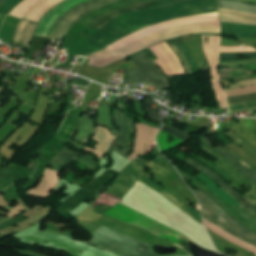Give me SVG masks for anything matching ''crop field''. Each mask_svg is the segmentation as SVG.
I'll use <instances>...</instances> for the list:
<instances>
[{
  "mask_svg": "<svg viewBox=\"0 0 256 256\" xmlns=\"http://www.w3.org/2000/svg\"><path fill=\"white\" fill-rule=\"evenodd\" d=\"M250 89H256V86L255 87H248V88H242V89H237V90L229 91V92H227V94L234 93V92H239V91H244V90H250Z\"/></svg>",
  "mask_w": 256,
  "mask_h": 256,
  "instance_id": "crop-field-47",
  "label": "crop field"
},
{
  "mask_svg": "<svg viewBox=\"0 0 256 256\" xmlns=\"http://www.w3.org/2000/svg\"><path fill=\"white\" fill-rule=\"evenodd\" d=\"M159 59L155 61L164 74L168 77L176 74H186L177 56L166 42L150 47Z\"/></svg>",
  "mask_w": 256,
  "mask_h": 256,
  "instance_id": "crop-field-12",
  "label": "crop field"
},
{
  "mask_svg": "<svg viewBox=\"0 0 256 256\" xmlns=\"http://www.w3.org/2000/svg\"><path fill=\"white\" fill-rule=\"evenodd\" d=\"M234 125L256 141V124L252 119L239 118V124Z\"/></svg>",
  "mask_w": 256,
  "mask_h": 256,
  "instance_id": "crop-field-30",
  "label": "crop field"
},
{
  "mask_svg": "<svg viewBox=\"0 0 256 256\" xmlns=\"http://www.w3.org/2000/svg\"><path fill=\"white\" fill-rule=\"evenodd\" d=\"M240 68L256 71V65L242 66V67H240Z\"/></svg>",
  "mask_w": 256,
  "mask_h": 256,
  "instance_id": "crop-field-49",
  "label": "crop field"
},
{
  "mask_svg": "<svg viewBox=\"0 0 256 256\" xmlns=\"http://www.w3.org/2000/svg\"><path fill=\"white\" fill-rule=\"evenodd\" d=\"M205 150V152L213 155L216 157L219 161L213 163V162H206L201 157H197L194 154H191L196 159L200 160L201 162L208 165L210 168H212L214 171H216L218 174H220L222 177H224L229 183L233 182L234 184L231 185L236 189H240L239 187L251 184L252 189H250L252 192L244 196L247 200H249L254 206H256V186L246 177L244 176L237 168H235L231 163H229L226 159H224L219 154L213 152L212 150L208 149L204 145L201 147Z\"/></svg>",
  "mask_w": 256,
  "mask_h": 256,
  "instance_id": "crop-field-9",
  "label": "crop field"
},
{
  "mask_svg": "<svg viewBox=\"0 0 256 256\" xmlns=\"http://www.w3.org/2000/svg\"><path fill=\"white\" fill-rule=\"evenodd\" d=\"M197 139H199L208 147L212 148L211 142L205 136L199 137ZM212 149L223 155L229 162H231L235 167H237L256 185V172L252 170L247 164H245L241 159H239L235 154H233L229 149H227L224 146Z\"/></svg>",
  "mask_w": 256,
  "mask_h": 256,
  "instance_id": "crop-field-16",
  "label": "crop field"
},
{
  "mask_svg": "<svg viewBox=\"0 0 256 256\" xmlns=\"http://www.w3.org/2000/svg\"><path fill=\"white\" fill-rule=\"evenodd\" d=\"M154 103V100L146 98L145 110L149 113V118L155 122L162 123L161 119V110L151 108Z\"/></svg>",
  "mask_w": 256,
  "mask_h": 256,
  "instance_id": "crop-field-32",
  "label": "crop field"
},
{
  "mask_svg": "<svg viewBox=\"0 0 256 256\" xmlns=\"http://www.w3.org/2000/svg\"><path fill=\"white\" fill-rule=\"evenodd\" d=\"M221 12L238 14V15H243V16H249V17L256 18V15H254V14L221 9L220 10V20L223 21V22H229V23H240V24L256 25V19L247 18V17H243V16H238V15H232V14H225V13H221Z\"/></svg>",
  "mask_w": 256,
  "mask_h": 256,
  "instance_id": "crop-field-21",
  "label": "crop field"
},
{
  "mask_svg": "<svg viewBox=\"0 0 256 256\" xmlns=\"http://www.w3.org/2000/svg\"><path fill=\"white\" fill-rule=\"evenodd\" d=\"M106 215L120 221L144 227L156 235L178 244L182 234L118 203Z\"/></svg>",
  "mask_w": 256,
  "mask_h": 256,
  "instance_id": "crop-field-7",
  "label": "crop field"
},
{
  "mask_svg": "<svg viewBox=\"0 0 256 256\" xmlns=\"http://www.w3.org/2000/svg\"><path fill=\"white\" fill-rule=\"evenodd\" d=\"M186 163L192 165L193 167L199 169L200 171L215 179L223 189H225L232 196H234L238 201H240L244 205L246 209H248L253 215L256 216V207H254L250 202H248L240 193L236 192L233 188H231L220 176H218L212 170L191 158Z\"/></svg>",
  "mask_w": 256,
  "mask_h": 256,
  "instance_id": "crop-field-15",
  "label": "crop field"
},
{
  "mask_svg": "<svg viewBox=\"0 0 256 256\" xmlns=\"http://www.w3.org/2000/svg\"><path fill=\"white\" fill-rule=\"evenodd\" d=\"M93 131L94 122L89 120V116H82L80 129L73 139L83 144L84 141L92 135Z\"/></svg>",
  "mask_w": 256,
  "mask_h": 256,
  "instance_id": "crop-field-23",
  "label": "crop field"
},
{
  "mask_svg": "<svg viewBox=\"0 0 256 256\" xmlns=\"http://www.w3.org/2000/svg\"><path fill=\"white\" fill-rule=\"evenodd\" d=\"M80 110L81 107L71 110L70 119L64 121L61 131L42 149L40 153V163L36 169L34 177L40 178L50 160L54 158L57 153L63 150L66 143L70 141L78 128ZM53 149L56 151L52 152ZM44 157L48 159L43 160Z\"/></svg>",
  "mask_w": 256,
  "mask_h": 256,
  "instance_id": "crop-field-8",
  "label": "crop field"
},
{
  "mask_svg": "<svg viewBox=\"0 0 256 256\" xmlns=\"http://www.w3.org/2000/svg\"><path fill=\"white\" fill-rule=\"evenodd\" d=\"M129 79L134 87L148 82L139 70H129Z\"/></svg>",
  "mask_w": 256,
  "mask_h": 256,
  "instance_id": "crop-field-33",
  "label": "crop field"
},
{
  "mask_svg": "<svg viewBox=\"0 0 256 256\" xmlns=\"http://www.w3.org/2000/svg\"><path fill=\"white\" fill-rule=\"evenodd\" d=\"M254 96H256V93L248 94V95H244V96H238V97H231V98H228V101H229V104L254 101V100H256V97H254ZM251 97H254V98H251Z\"/></svg>",
  "mask_w": 256,
  "mask_h": 256,
  "instance_id": "crop-field-38",
  "label": "crop field"
},
{
  "mask_svg": "<svg viewBox=\"0 0 256 256\" xmlns=\"http://www.w3.org/2000/svg\"><path fill=\"white\" fill-rule=\"evenodd\" d=\"M204 222H205L206 227L208 229L214 231L215 233H217L221 237H223V238H225V239H227V240H229V241H231V242H233V243H235V244H237V245H239V246H241V247H243V248L253 252L256 255V248L255 247H253V246H251V245H249V244H247V243H245V242H243V241H241V240L231 236L230 234L224 232L222 229H220L217 226H215L214 224L206 221L205 219H204Z\"/></svg>",
  "mask_w": 256,
  "mask_h": 256,
  "instance_id": "crop-field-22",
  "label": "crop field"
},
{
  "mask_svg": "<svg viewBox=\"0 0 256 256\" xmlns=\"http://www.w3.org/2000/svg\"><path fill=\"white\" fill-rule=\"evenodd\" d=\"M162 130H163V131H166V132H168V133H170V134H172V135H174V136H176V137H178V138H181V139H183V140H185V141H187L188 138L190 137V135L187 134V133L178 131V130H176V129H173V128L168 127V126H165V125L163 126Z\"/></svg>",
  "mask_w": 256,
  "mask_h": 256,
  "instance_id": "crop-field-39",
  "label": "crop field"
},
{
  "mask_svg": "<svg viewBox=\"0 0 256 256\" xmlns=\"http://www.w3.org/2000/svg\"><path fill=\"white\" fill-rule=\"evenodd\" d=\"M114 113L117 117V124L121 126V131L117 132V140L113 147L110 149L109 153L117 152L125 158H128V151L133 150L132 148L126 147L128 131H135V122L133 119L129 118L128 115L122 113L121 111L115 109ZM117 145L124 147L121 151Z\"/></svg>",
  "mask_w": 256,
  "mask_h": 256,
  "instance_id": "crop-field-14",
  "label": "crop field"
},
{
  "mask_svg": "<svg viewBox=\"0 0 256 256\" xmlns=\"http://www.w3.org/2000/svg\"><path fill=\"white\" fill-rule=\"evenodd\" d=\"M205 37H208L207 44ZM202 39L203 52L211 68L213 89L216 93L217 100L220 101L221 108L228 107L225 91L220 84V75L217 72V67H219V52H245L256 50L252 47H247L245 49L244 46L220 47L221 37L219 36H202Z\"/></svg>",
  "mask_w": 256,
  "mask_h": 256,
  "instance_id": "crop-field-6",
  "label": "crop field"
},
{
  "mask_svg": "<svg viewBox=\"0 0 256 256\" xmlns=\"http://www.w3.org/2000/svg\"><path fill=\"white\" fill-rule=\"evenodd\" d=\"M41 240L49 241L51 244H43L40 242ZM21 242L33 245L41 244L52 249H64L66 252L75 254L77 256H114L88 244L72 240V235L70 234L60 233L48 229L44 230L43 232L37 231L34 234L22 239ZM80 250L83 251V254L79 253Z\"/></svg>",
  "mask_w": 256,
  "mask_h": 256,
  "instance_id": "crop-field-3",
  "label": "crop field"
},
{
  "mask_svg": "<svg viewBox=\"0 0 256 256\" xmlns=\"http://www.w3.org/2000/svg\"><path fill=\"white\" fill-rule=\"evenodd\" d=\"M193 192L201 203L204 218L218 225L235 237L256 247V234L248 231L230 219L216 204L200 191L193 190Z\"/></svg>",
  "mask_w": 256,
  "mask_h": 256,
  "instance_id": "crop-field-5",
  "label": "crop field"
},
{
  "mask_svg": "<svg viewBox=\"0 0 256 256\" xmlns=\"http://www.w3.org/2000/svg\"><path fill=\"white\" fill-rule=\"evenodd\" d=\"M148 167L152 168L153 170H155L156 172L166 176V175H170L173 174L172 172L168 171L167 169L153 163L150 161V163L148 164Z\"/></svg>",
  "mask_w": 256,
  "mask_h": 256,
  "instance_id": "crop-field-42",
  "label": "crop field"
},
{
  "mask_svg": "<svg viewBox=\"0 0 256 256\" xmlns=\"http://www.w3.org/2000/svg\"><path fill=\"white\" fill-rule=\"evenodd\" d=\"M21 208H23V206L20 205V206L14 208V209L11 211V213H9V214H7V215L10 216V215L13 214L15 211H17V210H19V209H21ZM24 210H26V209L23 208V209H21V210L15 212L13 215H11V217L14 216V215H16V214H18V213H20V211H24Z\"/></svg>",
  "mask_w": 256,
  "mask_h": 256,
  "instance_id": "crop-field-45",
  "label": "crop field"
},
{
  "mask_svg": "<svg viewBox=\"0 0 256 256\" xmlns=\"http://www.w3.org/2000/svg\"><path fill=\"white\" fill-rule=\"evenodd\" d=\"M221 8L233 9L256 14V5L238 3L230 0H218Z\"/></svg>",
  "mask_w": 256,
  "mask_h": 256,
  "instance_id": "crop-field-27",
  "label": "crop field"
},
{
  "mask_svg": "<svg viewBox=\"0 0 256 256\" xmlns=\"http://www.w3.org/2000/svg\"><path fill=\"white\" fill-rule=\"evenodd\" d=\"M5 0H0V5L4 2Z\"/></svg>",
  "mask_w": 256,
  "mask_h": 256,
  "instance_id": "crop-field-53",
  "label": "crop field"
},
{
  "mask_svg": "<svg viewBox=\"0 0 256 256\" xmlns=\"http://www.w3.org/2000/svg\"><path fill=\"white\" fill-rule=\"evenodd\" d=\"M199 180L206 183L211 189H213L222 199H224L230 206L238 203L235 201L231 196H229L227 193H225L222 189H220L211 179H209L206 175L203 173L200 177H196Z\"/></svg>",
  "mask_w": 256,
  "mask_h": 256,
  "instance_id": "crop-field-28",
  "label": "crop field"
},
{
  "mask_svg": "<svg viewBox=\"0 0 256 256\" xmlns=\"http://www.w3.org/2000/svg\"><path fill=\"white\" fill-rule=\"evenodd\" d=\"M148 162L138 158L131 162L119 175L115 183L106 192L122 199L145 171Z\"/></svg>",
  "mask_w": 256,
  "mask_h": 256,
  "instance_id": "crop-field-10",
  "label": "crop field"
},
{
  "mask_svg": "<svg viewBox=\"0 0 256 256\" xmlns=\"http://www.w3.org/2000/svg\"><path fill=\"white\" fill-rule=\"evenodd\" d=\"M44 175L45 176L42 179L41 184L38 187L28 191V193H30L31 195L39 196V197H47L48 195H50L47 192L53 190L58 182L57 172L53 170H49L47 168Z\"/></svg>",
  "mask_w": 256,
  "mask_h": 256,
  "instance_id": "crop-field-19",
  "label": "crop field"
},
{
  "mask_svg": "<svg viewBox=\"0 0 256 256\" xmlns=\"http://www.w3.org/2000/svg\"><path fill=\"white\" fill-rule=\"evenodd\" d=\"M66 148L50 162L54 169L59 170L61 166H67L78 155L67 150Z\"/></svg>",
  "mask_w": 256,
  "mask_h": 256,
  "instance_id": "crop-field-25",
  "label": "crop field"
},
{
  "mask_svg": "<svg viewBox=\"0 0 256 256\" xmlns=\"http://www.w3.org/2000/svg\"><path fill=\"white\" fill-rule=\"evenodd\" d=\"M219 8L220 6L217 0H188V1L166 5L162 7L124 13L118 16L117 18H115L114 20H112L111 22H109L108 24H106L105 26H103L102 28H100L95 33V35L89 42L83 56H87L91 53L102 50L110 46L114 42L136 31L155 25L157 23L176 19V18L219 12ZM214 20H219V13L176 19V20L160 23L155 26L149 27L147 29L141 30L121 41L116 42L111 46L113 47L114 50H116L151 32H155V31L176 26V25L202 22V21H214ZM194 29H221V26L219 24V21L202 22V23L176 26V27L168 28L155 33H151L116 51H114L110 46L102 51L96 52L88 56L87 58L91 59L89 65L96 66L102 62L112 59L118 55H121L127 51H130L136 47H139L159 37L177 33V32L194 30ZM220 32L221 30H194V31H187V32H182V33L162 37L148 44H145L139 48H136L130 52H127L121 56H118L112 60L102 63L96 67L102 68L112 62H115L121 58L128 57L132 53H135L148 46L159 43L165 39L174 38V37L192 34V33H220Z\"/></svg>",
  "mask_w": 256,
  "mask_h": 256,
  "instance_id": "crop-field-1",
  "label": "crop field"
},
{
  "mask_svg": "<svg viewBox=\"0 0 256 256\" xmlns=\"http://www.w3.org/2000/svg\"><path fill=\"white\" fill-rule=\"evenodd\" d=\"M136 128H137V134H136V142H135V149H134L135 152L130 155L129 157L130 160L144 153L148 144L155 141V136L158 131V129L146 126L142 123H137Z\"/></svg>",
  "mask_w": 256,
  "mask_h": 256,
  "instance_id": "crop-field-17",
  "label": "crop field"
},
{
  "mask_svg": "<svg viewBox=\"0 0 256 256\" xmlns=\"http://www.w3.org/2000/svg\"><path fill=\"white\" fill-rule=\"evenodd\" d=\"M116 0H91L83 4L78 5L76 8L71 10L65 16L58 20L54 28L52 29L50 36L52 38L60 39L65 36L71 23L81 17L82 15L92 11L93 9L100 7L104 4L113 2ZM74 23V22H73Z\"/></svg>",
  "mask_w": 256,
  "mask_h": 256,
  "instance_id": "crop-field-11",
  "label": "crop field"
},
{
  "mask_svg": "<svg viewBox=\"0 0 256 256\" xmlns=\"http://www.w3.org/2000/svg\"><path fill=\"white\" fill-rule=\"evenodd\" d=\"M8 219H9V218H5V217L0 218V223L3 222V221H6V220H8Z\"/></svg>",
  "mask_w": 256,
  "mask_h": 256,
  "instance_id": "crop-field-52",
  "label": "crop field"
},
{
  "mask_svg": "<svg viewBox=\"0 0 256 256\" xmlns=\"http://www.w3.org/2000/svg\"><path fill=\"white\" fill-rule=\"evenodd\" d=\"M139 181L148 184L150 187H152L154 190H156L158 193H160L162 196L167 198L169 201H171L173 204L178 206L180 209L186 211L188 214H190L194 219L202 223L201 215L196 213L194 210H192L187 204H185L182 200H180L177 196L173 195L169 191L161 188L156 183H154L152 180H150L144 173L140 177Z\"/></svg>",
  "mask_w": 256,
  "mask_h": 256,
  "instance_id": "crop-field-18",
  "label": "crop field"
},
{
  "mask_svg": "<svg viewBox=\"0 0 256 256\" xmlns=\"http://www.w3.org/2000/svg\"><path fill=\"white\" fill-rule=\"evenodd\" d=\"M110 109H111L110 106L100 105L98 109V114H97V121H98V124L109 127L112 131V135H115L113 119L110 114Z\"/></svg>",
  "mask_w": 256,
  "mask_h": 256,
  "instance_id": "crop-field-26",
  "label": "crop field"
},
{
  "mask_svg": "<svg viewBox=\"0 0 256 256\" xmlns=\"http://www.w3.org/2000/svg\"><path fill=\"white\" fill-rule=\"evenodd\" d=\"M175 166V165H174ZM176 167V166H175ZM177 168V167H176ZM177 170L181 173L182 170H180L179 168H177ZM184 175L188 176L187 174L183 173ZM189 177V176H188ZM192 178V177H190ZM194 181H196L198 184H200L202 187H204L207 191H209L215 198H217L222 204H224L238 219H240L242 222L246 223L247 225L253 227L256 229V226L248 223L246 220H244L242 217H240L226 202H224L219 196H217L215 193H213L205 184H203L201 181L192 178Z\"/></svg>",
  "mask_w": 256,
  "mask_h": 256,
  "instance_id": "crop-field-31",
  "label": "crop field"
},
{
  "mask_svg": "<svg viewBox=\"0 0 256 256\" xmlns=\"http://www.w3.org/2000/svg\"><path fill=\"white\" fill-rule=\"evenodd\" d=\"M93 235L112 241L114 243L120 244L122 246L128 247L133 250L137 246V244L140 242V239L138 238L132 237L130 235L119 232L117 230L106 227L104 225H102L98 230H96L93 233ZM95 236L90 241V243L97 245L118 256H146V255L156 256L150 252L149 244L142 240L138 244V246L135 248V250L138 252L144 253L146 255L132 251L130 249H127L125 247L111 243L109 241L103 240Z\"/></svg>",
  "mask_w": 256,
  "mask_h": 256,
  "instance_id": "crop-field-2",
  "label": "crop field"
},
{
  "mask_svg": "<svg viewBox=\"0 0 256 256\" xmlns=\"http://www.w3.org/2000/svg\"><path fill=\"white\" fill-rule=\"evenodd\" d=\"M256 64V59L242 60V61H229L220 62V68H232L242 65Z\"/></svg>",
  "mask_w": 256,
  "mask_h": 256,
  "instance_id": "crop-field-35",
  "label": "crop field"
},
{
  "mask_svg": "<svg viewBox=\"0 0 256 256\" xmlns=\"http://www.w3.org/2000/svg\"><path fill=\"white\" fill-rule=\"evenodd\" d=\"M157 157H159L161 160H163L165 163H167L169 166H171V167H173L172 166V164L170 163V161H168L165 157H163L161 154L159 155V156H157ZM174 168V167H173ZM175 169V168H174Z\"/></svg>",
  "mask_w": 256,
  "mask_h": 256,
  "instance_id": "crop-field-50",
  "label": "crop field"
},
{
  "mask_svg": "<svg viewBox=\"0 0 256 256\" xmlns=\"http://www.w3.org/2000/svg\"><path fill=\"white\" fill-rule=\"evenodd\" d=\"M131 59L151 82L155 92L165 86H169V82L162 71L159 69L156 63L144 52L131 57Z\"/></svg>",
  "mask_w": 256,
  "mask_h": 256,
  "instance_id": "crop-field-13",
  "label": "crop field"
},
{
  "mask_svg": "<svg viewBox=\"0 0 256 256\" xmlns=\"http://www.w3.org/2000/svg\"><path fill=\"white\" fill-rule=\"evenodd\" d=\"M36 27H37L36 24H32V23L29 24L28 29L24 35V39L22 43L23 47H30L31 37Z\"/></svg>",
  "mask_w": 256,
  "mask_h": 256,
  "instance_id": "crop-field-37",
  "label": "crop field"
},
{
  "mask_svg": "<svg viewBox=\"0 0 256 256\" xmlns=\"http://www.w3.org/2000/svg\"><path fill=\"white\" fill-rule=\"evenodd\" d=\"M238 55H243L246 58H256V52L227 53V54H220V60H239Z\"/></svg>",
  "mask_w": 256,
  "mask_h": 256,
  "instance_id": "crop-field-36",
  "label": "crop field"
},
{
  "mask_svg": "<svg viewBox=\"0 0 256 256\" xmlns=\"http://www.w3.org/2000/svg\"><path fill=\"white\" fill-rule=\"evenodd\" d=\"M71 144H73V145H75L76 147H78V148H80V149H84V147H82V146H80V145H77V144H75V143H73V142H70Z\"/></svg>",
  "mask_w": 256,
  "mask_h": 256,
  "instance_id": "crop-field-51",
  "label": "crop field"
},
{
  "mask_svg": "<svg viewBox=\"0 0 256 256\" xmlns=\"http://www.w3.org/2000/svg\"><path fill=\"white\" fill-rule=\"evenodd\" d=\"M14 251L21 252V253H25V254H30V255H35V256H43V255H39V254L32 253V252H29V251H24V250H17V249H14Z\"/></svg>",
  "mask_w": 256,
  "mask_h": 256,
  "instance_id": "crop-field-48",
  "label": "crop field"
},
{
  "mask_svg": "<svg viewBox=\"0 0 256 256\" xmlns=\"http://www.w3.org/2000/svg\"><path fill=\"white\" fill-rule=\"evenodd\" d=\"M255 102V101H254ZM240 104H243V103H240ZM232 105H237V104H232ZM229 106H231V105H229Z\"/></svg>",
  "mask_w": 256,
  "mask_h": 256,
  "instance_id": "crop-field-55",
  "label": "crop field"
},
{
  "mask_svg": "<svg viewBox=\"0 0 256 256\" xmlns=\"http://www.w3.org/2000/svg\"><path fill=\"white\" fill-rule=\"evenodd\" d=\"M22 0H7L0 6V25L10 10Z\"/></svg>",
  "mask_w": 256,
  "mask_h": 256,
  "instance_id": "crop-field-34",
  "label": "crop field"
},
{
  "mask_svg": "<svg viewBox=\"0 0 256 256\" xmlns=\"http://www.w3.org/2000/svg\"><path fill=\"white\" fill-rule=\"evenodd\" d=\"M171 49L176 53V55L179 57V59L181 60L187 74H192L193 71H197L198 69L196 68L190 54L188 53V51L186 50V48L184 47V45H178L179 49L183 52V54L186 56V58L188 59V61L190 62L192 69L190 67V65L188 64L185 56L182 54V52L178 49V47L176 46V44L170 45Z\"/></svg>",
  "mask_w": 256,
  "mask_h": 256,
  "instance_id": "crop-field-24",
  "label": "crop field"
},
{
  "mask_svg": "<svg viewBox=\"0 0 256 256\" xmlns=\"http://www.w3.org/2000/svg\"><path fill=\"white\" fill-rule=\"evenodd\" d=\"M232 131H235V132H237L238 134L242 135V136L245 137L247 140H249L253 145L256 146V142H255L254 140H252V139H251L250 137H248L247 135L242 134L241 131H240L238 128H236L235 126H233Z\"/></svg>",
  "mask_w": 256,
  "mask_h": 256,
  "instance_id": "crop-field-44",
  "label": "crop field"
},
{
  "mask_svg": "<svg viewBox=\"0 0 256 256\" xmlns=\"http://www.w3.org/2000/svg\"><path fill=\"white\" fill-rule=\"evenodd\" d=\"M28 23H29V21H26L24 19L21 21V23L19 25V28H18V30L16 32V36L14 38L13 44L21 43L22 35H23L24 30H25V28H26Z\"/></svg>",
  "mask_w": 256,
  "mask_h": 256,
  "instance_id": "crop-field-41",
  "label": "crop field"
},
{
  "mask_svg": "<svg viewBox=\"0 0 256 256\" xmlns=\"http://www.w3.org/2000/svg\"><path fill=\"white\" fill-rule=\"evenodd\" d=\"M76 6H77V5H76ZM76 6H75V7H76ZM72 9H73V8H72ZM70 10H71V9H70ZM70 10H68V11H70ZM68 11H67V12H68ZM67 12H66V13H67ZM66 13H65V14H66ZM62 16H63V15H62ZM62 16H61V17H62ZM55 25H56V24H55ZM53 28H54V27H53ZM35 36H36V35H35Z\"/></svg>",
  "mask_w": 256,
  "mask_h": 256,
  "instance_id": "crop-field-54",
  "label": "crop field"
},
{
  "mask_svg": "<svg viewBox=\"0 0 256 256\" xmlns=\"http://www.w3.org/2000/svg\"><path fill=\"white\" fill-rule=\"evenodd\" d=\"M82 158L80 159H76V161L81 162L83 164H85L87 167L93 169V171H96L97 168V162L94 161L93 157L90 156H85L83 157L82 155H80Z\"/></svg>",
  "mask_w": 256,
  "mask_h": 256,
  "instance_id": "crop-field-40",
  "label": "crop field"
},
{
  "mask_svg": "<svg viewBox=\"0 0 256 256\" xmlns=\"http://www.w3.org/2000/svg\"><path fill=\"white\" fill-rule=\"evenodd\" d=\"M168 137H169V134L160 131L157 142L161 152H164L166 150H169L171 148H174L176 146L186 143L185 141L174 137V141L168 144Z\"/></svg>",
  "mask_w": 256,
  "mask_h": 256,
  "instance_id": "crop-field-29",
  "label": "crop field"
},
{
  "mask_svg": "<svg viewBox=\"0 0 256 256\" xmlns=\"http://www.w3.org/2000/svg\"><path fill=\"white\" fill-rule=\"evenodd\" d=\"M145 1H148V0H119V1H116L109 5H106V6L96 9L94 12L88 14L87 16L83 17L82 19H80L77 22L88 27L111 12L135 5V4H138L141 2H145ZM179 1H183V0H151V1H148V2H145L142 4H138V5L111 13V14L107 15L106 17L102 18L101 20H99L98 22H96L95 24L91 25L90 28L99 29L104 24H106L109 20H111L114 17H116L124 12H127V11L157 7V6L171 4V3H175V2H179Z\"/></svg>",
  "mask_w": 256,
  "mask_h": 256,
  "instance_id": "crop-field-4",
  "label": "crop field"
},
{
  "mask_svg": "<svg viewBox=\"0 0 256 256\" xmlns=\"http://www.w3.org/2000/svg\"><path fill=\"white\" fill-rule=\"evenodd\" d=\"M251 107H254L253 103L238 105V106H232V107H229V108H230V110H236V109H245V108H251Z\"/></svg>",
  "mask_w": 256,
  "mask_h": 256,
  "instance_id": "crop-field-43",
  "label": "crop field"
},
{
  "mask_svg": "<svg viewBox=\"0 0 256 256\" xmlns=\"http://www.w3.org/2000/svg\"><path fill=\"white\" fill-rule=\"evenodd\" d=\"M93 139L99 142L98 145L95 147L96 150L89 149V148H87L86 150L95 152V154L101 158L111 146L114 140V137L111 136L107 128L97 127L96 135L94 136Z\"/></svg>",
  "mask_w": 256,
  "mask_h": 256,
  "instance_id": "crop-field-20",
  "label": "crop field"
},
{
  "mask_svg": "<svg viewBox=\"0 0 256 256\" xmlns=\"http://www.w3.org/2000/svg\"><path fill=\"white\" fill-rule=\"evenodd\" d=\"M254 92H256V90L245 91V92H240V93H235V94H229V95H227V97H230V96H238V95H244V94L254 93Z\"/></svg>",
  "mask_w": 256,
  "mask_h": 256,
  "instance_id": "crop-field-46",
  "label": "crop field"
}]
</instances>
